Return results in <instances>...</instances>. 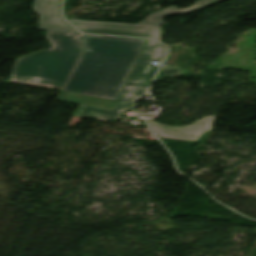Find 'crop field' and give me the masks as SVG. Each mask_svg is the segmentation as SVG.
I'll return each mask as SVG.
<instances>
[{"instance_id": "obj_1", "label": "crop field", "mask_w": 256, "mask_h": 256, "mask_svg": "<svg viewBox=\"0 0 256 256\" xmlns=\"http://www.w3.org/2000/svg\"><path fill=\"white\" fill-rule=\"evenodd\" d=\"M81 37L85 52L64 90L116 99L145 40Z\"/></svg>"}, {"instance_id": "obj_2", "label": "crop field", "mask_w": 256, "mask_h": 256, "mask_svg": "<svg viewBox=\"0 0 256 256\" xmlns=\"http://www.w3.org/2000/svg\"><path fill=\"white\" fill-rule=\"evenodd\" d=\"M52 48L17 60L11 77L66 83L81 53L77 34L48 32Z\"/></svg>"}, {"instance_id": "obj_3", "label": "crop field", "mask_w": 256, "mask_h": 256, "mask_svg": "<svg viewBox=\"0 0 256 256\" xmlns=\"http://www.w3.org/2000/svg\"><path fill=\"white\" fill-rule=\"evenodd\" d=\"M167 52L159 42L147 40L131 74L129 75L116 103L112 109L79 104L74 115L115 122L123 111L132 109L137 99L143 96L154 78L159 65L152 61L162 62Z\"/></svg>"}, {"instance_id": "obj_4", "label": "crop field", "mask_w": 256, "mask_h": 256, "mask_svg": "<svg viewBox=\"0 0 256 256\" xmlns=\"http://www.w3.org/2000/svg\"><path fill=\"white\" fill-rule=\"evenodd\" d=\"M219 1L222 0H198L194 5L186 9H177L176 7L172 6L170 8L163 9L157 13L149 15L137 25L78 21L70 19L67 20L71 24L78 27L81 32L145 37L158 40L160 36V26L163 24L164 17L176 14L191 13Z\"/></svg>"}, {"instance_id": "obj_5", "label": "crop field", "mask_w": 256, "mask_h": 256, "mask_svg": "<svg viewBox=\"0 0 256 256\" xmlns=\"http://www.w3.org/2000/svg\"><path fill=\"white\" fill-rule=\"evenodd\" d=\"M214 121L215 116H210L184 127H165L154 121L149 122V125L159 138L193 141L203 132L210 131Z\"/></svg>"}, {"instance_id": "obj_6", "label": "crop field", "mask_w": 256, "mask_h": 256, "mask_svg": "<svg viewBox=\"0 0 256 256\" xmlns=\"http://www.w3.org/2000/svg\"><path fill=\"white\" fill-rule=\"evenodd\" d=\"M60 0H36L33 8L40 15L39 29L55 32L76 33V30L61 20L58 12Z\"/></svg>"}, {"instance_id": "obj_7", "label": "crop field", "mask_w": 256, "mask_h": 256, "mask_svg": "<svg viewBox=\"0 0 256 256\" xmlns=\"http://www.w3.org/2000/svg\"><path fill=\"white\" fill-rule=\"evenodd\" d=\"M58 99L77 102V103H83V104H89V105H95V106H101V107H107V108H111L114 102V100L112 99L65 92V91L61 92Z\"/></svg>"}, {"instance_id": "obj_8", "label": "crop field", "mask_w": 256, "mask_h": 256, "mask_svg": "<svg viewBox=\"0 0 256 256\" xmlns=\"http://www.w3.org/2000/svg\"><path fill=\"white\" fill-rule=\"evenodd\" d=\"M10 81L11 82H18V83H27V84H31V85L51 87V88H57V89H61L65 85V84H62V83H55V82H44V81H35V80H27V79H15V78H11Z\"/></svg>"}, {"instance_id": "obj_9", "label": "crop field", "mask_w": 256, "mask_h": 256, "mask_svg": "<svg viewBox=\"0 0 256 256\" xmlns=\"http://www.w3.org/2000/svg\"><path fill=\"white\" fill-rule=\"evenodd\" d=\"M180 74H181V68L180 67L174 68V67H167L165 65H162L155 81L159 80V79H162V78H165V77L177 76V75H180Z\"/></svg>"}]
</instances>
